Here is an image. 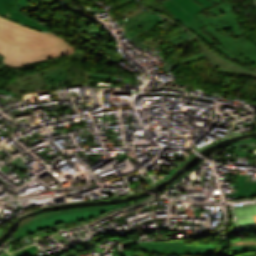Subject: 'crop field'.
Segmentation results:
<instances>
[{
    "instance_id": "crop-field-2",
    "label": "crop field",
    "mask_w": 256,
    "mask_h": 256,
    "mask_svg": "<svg viewBox=\"0 0 256 256\" xmlns=\"http://www.w3.org/2000/svg\"><path fill=\"white\" fill-rule=\"evenodd\" d=\"M216 3L209 11L212 15L206 17L201 12L195 15L206 27V33L219 44L237 56L244 55L253 63L256 61V46L249 43L245 37L246 30L236 18L231 3L226 0H211Z\"/></svg>"
},
{
    "instance_id": "crop-field-1",
    "label": "crop field",
    "mask_w": 256,
    "mask_h": 256,
    "mask_svg": "<svg viewBox=\"0 0 256 256\" xmlns=\"http://www.w3.org/2000/svg\"><path fill=\"white\" fill-rule=\"evenodd\" d=\"M75 49L57 34L42 33L0 16V54L4 56V65L21 67L66 56Z\"/></svg>"
},
{
    "instance_id": "crop-field-4",
    "label": "crop field",
    "mask_w": 256,
    "mask_h": 256,
    "mask_svg": "<svg viewBox=\"0 0 256 256\" xmlns=\"http://www.w3.org/2000/svg\"><path fill=\"white\" fill-rule=\"evenodd\" d=\"M168 11L174 16L173 19L181 23L185 27L191 29L194 33L200 36L210 46L217 43L208 34L200 28L204 25L193 15L202 11L205 8L213 6L209 0H165L161 2Z\"/></svg>"
},
{
    "instance_id": "crop-field-23",
    "label": "crop field",
    "mask_w": 256,
    "mask_h": 256,
    "mask_svg": "<svg viewBox=\"0 0 256 256\" xmlns=\"http://www.w3.org/2000/svg\"><path fill=\"white\" fill-rule=\"evenodd\" d=\"M2 57H3V56L0 55V60H2Z\"/></svg>"
},
{
    "instance_id": "crop-field-24",
    "label": "crop field",
    "mask_w": 256,
    "mask_h": 256,
    "mask_svg": "<svg viewBox=\"0 0 256 256\" xmlns=\"http://www.w3.org/2000/svg\"><path fill=\"white\" fill-rule=\"evenodd\" d=\"M5 253H6V252H5ZM5 253H3L2 255H5ZM2 255H1V256H2Z\"/></svg>"
},
{
    "instance_id": "crop-field-8",
    "label": "crop field",
    "mask_w": 256,
    "mask_h": 256,
    "mask_svg": "<svg viewBox=\"0 0 256 256\" xmlns=\"http://www.w3.org/2000/svg\"><path fill=\"white\" fill-rule=\"evenodd\" d=\"M61 68L57 67L41 72V76L48 90L58 88V85L66 80V70Z\"/></svg>"
},
{
    "instance_id": "crop-field-16",
    "label": "crop field",
    "mask_w": 256,
    "mask_h": 256,
    "mask_svg": "<svg viewBox=\"0 0 256 256\" xmlns=\"http://www.w3.org/2000/svg\"><path fill=\"white\" fill-rule=\"evenodd\" d=\"M4 12H7L6 0H0V14L2 15Z\"/></svg>"
},
{
    "instance_id": "crop-field-21",
    "label": "crop field",
    "mask_w": 256,
    "mask_h": 256,
    "mask_svg": "<svg viewBox=\"0 0 256 256\" xmlns=\"http://www.w3.org/2000/svg\"><path fill=\"white\" fill-rule=\"evenodd\" d=\"M45 255H41V256H48V254L46 253V251H44Z\"/></svg>"
},
{
    "instance_id": "crop-field-14",
    "label": "crop field",
    "mask_w": 256,
    "mask_h": 256,
    "mask_svg": "<svg viewBox=\"0 0 256 256\" xmlns=\"http://www.w3.org/2000/svg\"><path fill=\"white\" fill-rule=\"evenodd\" d=\"M68 81L72 83H84L81 75H68Z\"/></svg>"
},
{
    "instance_id": "crop-field-25",
    "label": "crop field",
    "mask_w": 256,
    "mask_h": 256,
    "mask_svg": "<svg viewBox=\"0 0 256 256\" xmlns=\"http://www.w3.org/2000/svg\"><path fill=\"white\" fill-rule=\"evenodd\" d=\"M254 64L256 65V62Z\"/></svg>"
},
{
    "instance_id": "crop-field-10",
    "label": "crop field",
    "mask_w": 256,
    "mask_h": 256,
    "mask_svg": "<svg viewBox=\"0 0 256 256\" xmlns=\"http://www.w3.org/2000/svg\"><path fill=\"white\" fill-rule=\"evenodd\" d=\"M3 15H5L7 17H10L12 19H15V20H17L19 22H22L24 24H27L29 26H32V27H34L36 29H39L41 31H50V29H51L48 26L40 24V23L26 17L21 10L16 11V12H11V13H5Z\"/></svg>"
},
{
    "instance_id": "crop-field-19",
    "label": "crop field",
    "mask_w": 256,
    "mask_h": 256,
    "mask_svg": "<svg viewBox=\"0 0 256 256\" xmlns=\"http://www.w3.org/2000/svg\"><path fill=\"white\" fill-rule=\"evenodd\" d=\"M82 250H85L84 246H80V247L76 248V253L79 251H82Z\"/></svg>"
},
{
    "instance_id": "crop-field-7",
    "label": "crop field",
    "mask_w": 256,
    "mask_h": 256,
    "mask_svg": "<svg viewBox=\"0 0 256 256\" xmlns=\"http://www.w3.org/2000/svg\"><path fill=\"white\" fill-rule=\"evenodd\" d=\"M162 20L158 15L152 14L148 15L138 21H135L127 26H125L128 30L127 32L133 36L136 35L146 29H151L155 27L158 23L162 22Z\"/></svg>"
},
{
    "instance_id": "crop-field-6",
    "label": "crop field",
    "mask_w": 256,
    "mask_h": 256,
    "mask_svg": "<svg viewBox=\"0 0 256 256\" xmlns=\"http://www.w3.org/2000/svg\"><path fill=\"white\" fill-rule=\"evenodd\" d=\"M201 43V42H200ZM201 46L204 50V53L210 58V60L214 63V67L218 70L234 73L243 76L255 77L256 72L248 71L227 59L219 56L215 51L209 49L205 44L201 43Z\"/></svg>"
},
{
    "instance_id": "crop-field-12",
    "label": "crop field",
    "mask_w": 256,
    "mask_h": 256,
    "mask_svg": "<svg viewBox=\"0 0 256 256\" xmlns=\"http://www.w3.org/2000/svg\"><path fill=\"white\" fill-rule=\"evenodd\" d=\"M211 47H213L215 50H217L218 52L222 53L223 55H225V56H227V57H229L231 59H234L236 61H239V62H241L243 64H244V62L247 61V59L244 56L239 58V57L235 56L234 54L230 53L228 50H226L223 47H221L218 43L213 45V46H211Z\"/></svg>"
},
{
    "instance_id": "crop-field-18",
    "label": "crop field",
    "mask_w": 256,
    "mask_h": 256,
    "mask_svg": "<svg viewBox=\"0 0 256 256\" xmlns=\"http://www.w3.org/2000/svg\"><path fill=\"white\" fill-rule=\"evenodd\" d=\"M15 82H16L15 80L9 82V84H8L9 90L18 89L17 85L15 84Z\"/></svg>"
},
{
    "instance_id": "crop-field-15",
    "label": "crop field",
    "mask_w": 256,
    "mask_h": 256,
    "mask_svg": "<svg viewBox=\"0 0 256 256\" xmlns=\"http://www.w3.org/2000/svg\"><path fill=\"white\" fill-rule=\"evenodd\" d=\"M67 74H81L79 67L67 65Z\"/></svg>"
},
{
    "instance_id": "crop-field-11",
    "label": "crop field",
    "mask_w": 256,
    "mask_h": 256,
    "mask_svg": "<svg viewBox=\"0 0 256 256\" xmlns=\"http://www.w3.org/2000/svg\"><path fill=\"white\" fill-rule=\"evenodd\" d=\"M29 0H7L8 12L16 11L28 6Z\"/></svg>"
},
{
    "instance_id": "crop-field-5",
    "label": "crop field",
    "mask_w": 256,
    "mask_h": 256,
    "mask_svg": "<svg viewBox=\"0 0 256 256\" xmlns=\"http://www.w3.org/2000/svg\"><path fill=\"white\" fill-rule=\"evenodd\" d=\"M139 249L147 253L187 256H214L217 245H185L184 241L139 243Z\"/></svg>"
},
{
    "instance_id": "crop-field-3",
    "label": "crop field",
    "mask_w": 256,
    "mask_h": 256,
    "mask_svg": "<svg viewBox=\"0 0 256 256\" xmlns=\"http://www.w3.org/2000/svg\"><path fill=\"white\" fill-rule=\"evenodd\" d=\"M147 198V197H145ZM143 198V199H145ZM142 200V199H140ZM138 201V200H136ZM135 202V201H132ZM131 202L119 204V205H108V206H93V207H79L70 210L53 211L42 213L31 220L27 221L23 225L19 226L18 230L13 233L15 239H19L29 233L51 227L55 224L77 221L88 219L94 215L102 213L114 207H118Z\"/></svg>"
},
{
    "instance_id": "crop-field-9",
    "label": "crop field",
    "mask_w": 256,
    "mask_h": 256,
    "mask_svg": "<svg viewBox=\"0 0 256 256\" xmlns=\"http://www.w3.org/2000/svg\"><path fill=\"white\" fill-rule=\"evenodd\" d=\"M22 75L23 77L20 78L16 75V81L20 92L27 89L32 90L34 88L45 86L38 71L33 72L30 75L28 73Z\"/></svg>"
},
{
    "instance_id": "crop-field-20",
    "label": "crop field",
    "mask_w": 256,
    "mask_h": 256,
    "mask_svg": "<svg viewBox=\"0 0 256 256\" xmlns=\"http://www.w3.org/2000/svg\"><path fill=\"white\" fill-rule=\"evenodd\" d=\"M9 92H16L17 96H21L20 93H19V90H13V91H9Z\"/></svg>"
},
{
    "instance_id": "crop-field-13",
    "label": "crop field",
    "mask_w": 256,
    "mask_h": 256,
    "mask_svg": "<svg viewBox=\"0 0 256 256\" xmlns=\"http://www.w3.org/2000/svg\"><path fill=\"white\" fill-rule=\"evenodd\" d=\"M149 5L152 6V9H154V10H156V11H163V12H165V13H163V14H165V15L171 17V18L173 17V16L166 10L165 7L155 5V3H152V2H150Z\"/></svg>"
},
{
    "instance_id": "crop-field-22",
    "label": "crop field",
    "mask_w": 256,
    "mask_h": 256,
    "mask_svg": "<svg viewBox=\"0 0 256 256\" xmlns=\"http://www.w3.org/2000/svg\"><path fill=\"white\" fill-rule=\"evenodd\" d=\"M3 67H4V65L1 64V65H0V70H1Z\"/></svg>"
},
{
    "instance_id": "crop-field-17",
    "label": "crop field",
    "mask_w": 256,
    "mask_h": 256,
    "mask_svg": "<svg viewBox=\"0 0 256 256\" xmlns=\"http://www.w3.org/2000/svg\"><path fill=\"white\" fill-rule=\"evenodd\" d=\"M83 245L86 247V249H89L91 247L94 248L97 246V244L93 240H89V241L83 243Z\"/></svg>"
}]
</instances>
